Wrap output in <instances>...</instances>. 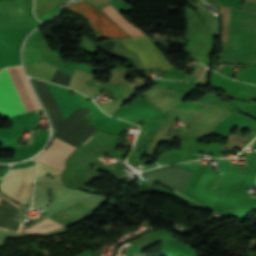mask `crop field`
Listing matches in <instances>:
<instances>
[{
  "instance_id": "obj_10",
  "label": "crop field",
  "mask_w": 256,
  "mask_h": 256,
  "mask_svg": "<svg viewBox=\"0 0 256 256\" xmlns=\"http://www.w3.org/2000/svg\"><path fill=\"white\" fill-rule=\"evenodd\" d=\"M146 183V180L141 181V184Z\"/></svg>"
},
{
  "instance_id": "obj_2",
  "label": "crop field",
  "mask_w": 256,
  "mask_h": 256,
  "mask_svg": "<svg viewBox=\"0 0 256 256\" xmlns=\"http://www.w3.org/2000/svg\"><path fill=\"white\" fill-rule=\"evenodd\" d=\"M66 9L81 14L96 33L97 38H127L129 35L116 25L104 12L94 8L86 0L69 4Z\"/></svg>"
},
{
  "instance_id": "obj_14",
  "label": "crop field",
  "mask_w": 256,
  "mask_h": 256,
  "mask_svg": "<svg viewBox=\"0 0 256 256\" xmlns=\"http://www.w3.org/2000/svg\"><path fill=\"white\" fill-rule=\"evenodd\" d=\"M138 183V182H137Z\"/></svg>"
},
{
  "instance_id": "obj_7",
  "label": "crop field",
  "mask_w": 256,
  "mask_h": 256,
  "mask_svg": "<svg viewBox=\"0 0 256 256\" xmlns=\"http://www.w3.org/2000/svg\"><path fill=\"white\" fill-rule=\"evenodd\" d=\"M229 11L230 8L221 7V14L223 18L222 41H227Z\"/></svg>"
},
{
  "instance_id": "obj_3",
  "label": "crop field",
  "mask_w": 256,
  "mask_h": 256,
  "mask_svg": "<svg viewBox=\"0 0 256 256\" xmlns=\"http://www.w3.org/2000/svg\"><path fill=\"white\" fill-rule=\"evenodd\" d=\"M35 167L10 170L0 185V190L12 199L24 204L31 192Z\"/></svg>"
},
{
  "instance_id": "obj_12",
  "label": "crop field",
  "mask_w": 256,
  "mask_h": 256,
  "mask_svg": "<svg viewBox=\"0 0 256 256\" xmlns=\"http://www.w3.org/2000/svg\"><path fill=\"white\" fill-rule=\"evenodd\" d=\"M251 196H253V195H251ZM253 197H256V196H253Z\"/></svg>"
},
{
  "instance_id": "obj_13",
  "label": "crop field",
  "mask_w": 256,
  "mask_h": 256,
  "mask_svg": "<svg viewBox=\"0 0 256 256\" xmlns=\"http://www.w3.org/2000/svg\"><path fill=\"white\" fill-rule=\"evenodd\" d=\"M135 167H137V166H135ZM137 168H139V167H137Z\"/></svg>"
},
{
  "instance_id": "obj_8",
  "label": "crop field",
  "mask_w": 256,
  "mask_h": 256,
  "mask_svg": "<svg viewBox=\"0 0 256 256\" xmlns=\"http://www.w3.org/2000/svg\"><path fill=\"white\" fill-rule=\"evenodd\" d=\"M242 11L256 13V0H244Z\"/></svg>"
},
{
  "instance_id": "obj_4",
  "label": "crop field",
  "mask_w": 256,
  "mask_h": 256,
  "mask_svg": "<svg viewBox=\"0 0 256 256\" xmlns=\"http://www.w3.org/2000/svg\"><path fill=\"white\" fill-rule=\"evenodd\" d=\"M75 149V147L55 138L50 147L33 160L63 170L64 161Z\"/></svg>"
},
{
  "instance_id": "obj_11",
  "label": "crop field",
  "mask_w": 256,
  "mask_h": 256,
  "mask_svg": "<svg viewBox=\"0 0 256 256\" xmlns=\"http://www.w3.org/2000/svg\"><path fill=\"white\" fill-rule=\"evenodd\" d=\"M125 175L127 176L128 174H127V173H125Z\"/></svg>"
},
{
  "instance_id": "obj_9",
  "label": "crop field",
  "mask_w": 256,
  "mask_h": 256,
  "mask_svg": "<svg viewBox=\"0 0 256 256\" xmlns=\"http://www.w3.org/2000/svg\"><path fill=\"white\" fill-rule=\"evenodd\" d=\"M44 172H48V173H51V174H59L61 171H58V170L52 169L50 167L43 166V165L39 164L37 176L43 175Z\"/></svg>"
},
{
  "instance_id": "obj_1",
  "label": "crop field",
  "mask_w": 256,
  "mask_h": 256,
  "mask_svg": "<svg viewBox=\"0 0 256 256\" xmlns=\"http://www.w3.org/2000/svg\"><path fill=\"white\" fill-rule=\"evenodd\" d=\"M7 71L27 111L30 112V111L41 109L22 71V68L21 67L7 68ZM0 91L12 116L26 112L5 69L2 70L0 73ZM1 94H0V114H2L5 117H9L11 115L5 105V102Z\"/></svg>"
},
{
  "instance_id": "obj_5",
  "label": "crop field",
  "mask_w": 256,
  "mask_h": 256,
  "mask_svg": "<svg viewBox=\"0 0 256 256\" xmlns=\"http://www.w3.org/2000/svg\"><path fill=\"white\" fill-rule=\"evenodd\" d=\"M103 132L97 131L93 134L87 141H85L79 149H77L67 160V165L71 163L75 158H77L81 153H83L87 148H89L101 135ZM113 135L103 134L89 149H87L81 156H79L73 163H71L68 167L71 166H79L81 167L88 158L94 154L98 149H100L106 142H108Z\"/></svg>"
},
{
  "instance_id": "obj_6",
  "label": "crop field",
  "mask_w": 256,
  "mask_h": 256,
  "mask_svg": "<svg viewBox=\"0 0 256 256\" xmlns=\"http://www.w3.org/2000/svg\"><path fill=\"white\" fill-rule=\"evenodd\" d=\"M102 9L113 21H115L119 26H121L130 36L145 35L139 29L135 28L132 24L127 22L111 4Z\"/></svg>"
}]
</instances>
